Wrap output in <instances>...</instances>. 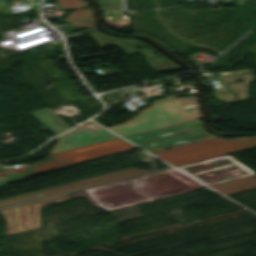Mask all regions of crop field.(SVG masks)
<instances>
[{
	"mask_svg": "<svg viewBox=\"0 0 256 256\" xmlns=\"http://www.w3.org/2000/svg\"><path fill=\"white\" fill-rule=\"evenodd\" d=\"M191 94V93H186ZM185 95L176 94L154 102L151 108L143 110L139 115L126 123L113 126L110 130L125 136L181 121L201 117L195 98H171ZM196 104L197 108L183 109L180 105Z\"/></svg>",
	"mask_w": 256,
	"mask_h": 256,
	"instance_id": "obj_1",
	"label": "crop field"
},
{
	"mask_svg": "<svg viewBox=\"0 0 256 256\" xmlns=\"http://www.w3.org/2000/svg\"><path fill=\"white\" fill-rule=\"evenodd\" d=\"M4 171L5 172L0 173V185L4 181L22 179L21 176L36 172L32 166L4 169Z\"/></svg>",
	"mask_w": 256,
	"mask_h": 256,
	"instance_id": "obj_12",
	"label": "crop field"
},
{
	"mask_svg": "<svg viewBox=\"0 0 256 256\" xmlns=\"http://www.w3.org/2000/svg\"><path fill=\"white\" fill-rule=\"evenodd\" d=\"M145 172H149V171L140 170L138 168L132 167V168L112 172L109 174L89 178L86 180L66 184L63 186H59V187L31 193V194H26V195H22V196H17V197H13V198H9V199L0 200V209L9 207V206H13V205H17V204H21V203H25V202H29L32 200L60 194V193H64V192H68V191H72V190L108 182V181H113V180L129 177V176L145 173Z\"/></svg>",
	"mask_w": 256,
	"mask_h": 256,
	"instance_id": "obj_5",
	"label": "crop field"
},
{
	"mask_svg": "<svg viewBox=\"0 0 256 256\" xmlns=\"http://www.w3.org/2000/svg\"><path fill=\"white\" fill-rule=\"evenodd\" d=\"M212 187L218 189L219 191L230 195L250 189L256 188V176H248L216 185H212Z\"/></svg>",
	"mask_w": 256,
	"mask_h": 256,
	"instance_id": "obj_9",
	"label": "crop field"
},
{
	"mask_svg": "<svg viewBox=\"0 0 256 256\" xmlns=\"http://www.w3.org/2000/svg\"><path fill=\"white\" fill-rule=\"evenodd\" d=\"M61 9H78L88 7V3L83 0H60L57 1Z\"/></svg>",
	"mask_w": 256,
	"mask_h": 256,
	"instance_id": "obj_13",
	"label": "crop field"
},
{
	"mask_svg": "<svg viewBox=\"0 0 256 256\" xmlns=\"http://www.w3.org/2000/svg\"><path fill=\"white\" fill-rule=\"evenodd\" d=\"M90 36L93 37L95 42L102 49L105 48L107 45L116 46L121 49L126 55H130L138 51L146 58V61L149 63L150 67L156 72L181 69V67L171 62L167 58L154 55L145 48L146 45L136 40L117 39L103 35L99 31L90 33Z\"/></svg>",
	"mask_w": 256,
	"mask_h": 256,
	"instance_id": "obj_6",
	"label": "crop field"
},
{
	"mask_svg": "<svg viewBox=\"0 0 256 256\" xmlns=\"http://www.w3.org/2000/svg\"><path fill=\"white\" fill-rule=\"evenodd\" d=\"M58 138L59 141L49 154L70 150L118 137L103 128L97 129L93 132H85L79 128H76L59 136Z\"/></svg>",
	"mask_w": 256,
	"mask_h": 256,
	"instance_id": "obj_8",
	"label": "crop field"
},
{
	"mask_svg": "<svg viewBox=\"0 0 256 256\" xmlns=\"http://www.w3.org/2000/svg\"><path fill=\"white\" fill-rule=\"evenodd\" d=\"M65 22L85 29L94 26V17L91 9L88 8L70 13V15L65 18Z\"/></svg>",
	"mask_w": 256,
	"mask_h": 256,
	"instance_id": "obj_11",
	"label": "crop field"
},
{
	"mask_svg": "<svg viewBox=\"0 0 256 256\" xmlns=\"http://www.w3.org/2000/svg\"><path fill=\"white\" fill-rule=\"evenodd\" d=\"M35 2H39V0H35Z\"/></svg>",
	"mask_w": 256,
	"mask_h": 256,
	"instance_id": "obj_14",
	"label": "crop field"
},
{
	"mask_svg": "<svg viewBox=\"0 0 256 256\" xmlns=\"http://www.w3.org/2000/svg\"><path fill=\"white\" fill-rule=\"evenodd\" d=\"M125 137L154 152L216 136L206 133L198 118Z\"/></svg>",
	"mask_w": 256,
	"mask_h": 256,
	"instance_id": "obj_2",
	"label": "crop field"
},
{
	"mask_svg": "<svg viewBox=\"0 0 256 256\" xmlns=\"http://www.w3.org/2000/svg\"><path fill=\"white\" fill-rule=\"evenodd\" d=\"M256 146V137L213 139L159 153V158L175 165H182Z\"/></svg>",
	"mask_w": 256,
	"mask_h": 256,
	"instance_id": "obj_3",
	"label": "crop field"
},
{
	"mask_svg": "<svg viewBox=\"0 0 256 256\" xmlns=\"http://www.w3.org/2000/svg\"><path fill=\"white\" fill-rule=\"evenodd\" d=\"M31 114L34 115L55 134H58L70 128L47 108L33 111L31 112Z\"/></svg>",
	"mask_w": 256,
	"mask_h": 256,
	"instance_id": "obj_10",
	"label": "crop field"
},
{
	"mask_svg": "<svg viewBox=\"0 0 256 256\" xmlns=\"http://www.w3.org/2000/svg\"><path fill=\"white\" fill-rule=\"evenodd\" d=\"M131 148L135 147L127 143L126 141L118 138L70 151L52 154L51 156L54 157L56 160L34 165L33 167L37 172H39Z\"/></svg>",
	"mask_w": 256,
	"mask_h": 256,
	"instance_id": "obj_4",
	"label": "crop field"
},
{
	"mask_svg": "<svg viewBox=\"0 0 256 256\" xmlns=\"http://www.w3.org/2000/svg\"><path fill=\"white\" fill-rule=\"evenodd\" d=\"M68 196H60L37 203L2 210L6 219L7 235L41 226L40 208L42 204L68 200Z\"/></svg>",
	"mask_w": 256,
	"mask_h": 256,
	"instance_id": "obj_7",
	"label": "crop field"
}]
</instances>
